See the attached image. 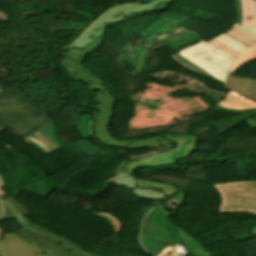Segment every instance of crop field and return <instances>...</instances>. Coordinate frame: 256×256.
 Masks as SVG:
<instances>
[{"label": "crop field", "instance_id": "cbeb9de0", "mask_svg": "<svg viewBox=\"0 0 256 256\" xmlns=\"http://www.w3.org/2000/svg\"><path fill=\"white\" fill-rule=\"evenodd\" d=\"M177 232L184 245L193 253L194 256H210L205 252L199 241L191 238L184 230L177 228Z\"/></svg>", "mask_w": 256, "mask_h": 256}, {"label": "crop field", "instance_id": "bd1437ed", "mask_svg": "<svg viewBox=\"0 0 256 256\" xmlns=\"http://www.w3.org/2000/svg\"><path fill=\"white\" fill-rule=\"evenodd\" d=\"M43 256H56L55 254H53L50 250L48 252H46Z\"/></svg>", "mask_w": 256, "mask_h": 256}, {"label": "crop field", "instance_id": "1d83c4d3", "mask_svg": "<svg viewBox=\"0 0 256 256\" xmlns=\"http://www.w3.org/2000/svg\"><path fill=\"white\" fill-rule=\"evenodd\" d=\"M100 29H101V28H97V29L94 30V32H98V31H100Z\"/></svg>", "mask_w": 256, "mask_h": 256}, {"label": "crop field", "instance_id": "e52e79f7", "mask_svg": "<svg viewBox=\"0 0 256 256\" xmlns=\"http://www.w3.org/2000/svg\"><path fill=\"white\" fill-rule=\"evenodd\" d=\"M139 5V3H121L115 6H112L103 12H101L82 32L81 34L70 44L68 47H77L79 49L85 47L95 38H97L105 30V23L116 22L125 17V14L134 6ZM124 11V14L117 19H111V16L115 13ZM97 27H102L99 33H94L93 29ZM90 33L96 35L93 39L89 40L88 36ZM66 48V47H65ZM67 51V50H66ZM65 51V52H66ZM64 52V51H63Z\"/></svg>", "mask_w": 256, "mask_h": 256}, {"label": "crop field", "instance_id": "d9b57169", "mask_svg": "<svg viewBox=\"0 0 256 256\" xmlns=\"http://www.w3.org/2000/svg\"><path fill=\"white\" fill-rule=\"evenodd\" d=\"M138 187L139 188H151V189H158L160 191H163L167 194V197H171L174 194L178 192L172 185H163V184H158L150 181H145V180H138Z\"/></svg>", "mask_w": 256, "mask_h": 256}, {"label": "crop field", "instance_id": "d32e631a", "mask_svg": "<svg viewBox=\"0 0 256 256\" xmlns=\"http://www.w3.org/2000/svg\"><path fill=\"white\" fill-rule=\"evenodd\" d=\"M0 234H1V228H0Z\"/></svg>", "mask_w": 256, "mask_h": 256}, {"label": "crop field", "instance_id": "d1516ede", "mask_svg": "<svg viewBox=\"0 0 256 256\" xmlns=\"http://www.w3.org/2000/svg\"><path fill=\"white\" fill-rule=\"evenodd\" d=\"M103 34L102 36H100L94 43H92L91 45H89L88 47L85 48L84 51H79L77 49H71L70 51L67 52V55L70 56L73 59H76V61H78L81 64V61L89 54L92 53L95 49H97L99 47V45L102 43L103 38H104ZM83 66V65H82ZM84 67V66H83ZM83 71L88 72L95 80L98 81V83H101L95 76H93L85 67L83 68ZM102 84V83H101Z\"/></svg>", "mask_w": 256, "mask_h": 256}, {"label": "crop field", "instance_id": "a9b5d70f", "mask_svg": "<svg viewBox=\"0 0 256 256\" xmlns=\"http://www.w3.org/2000/svg\"><path fill=\"white\" fill-rule=\"evenodd\" d=\"M138 197L140 198H146V199H158L163 198L164 195L159 192H145V191H138V190H132Z\"/></svg>", "mask_w": 256, "mask_h": 256}, {"label": "crop field", "instance_id": "22f410ed", "mask_svg": "<svg viewBox=\"0 0 256 256\" xmlns=\"http://www.w3.org/2000/svg\"><path fill=\"white\" fill-rule=\"evenodd\" d=\"M218 105L237 109L256 108V103L243 99L233 92H230L228 96Z\"/></svg>", "mask_w": 256, "mask_h": 256}, {"label": "crop field", "instance_id": "412701ff", "mask_svg": "<svg viewBox=\"0 0 256 256\" xmlns=\"http://www.w3.org/2000/svg\"><path fill=\"white\" fill-rule=\"evenodd\" d=\"M141 241L152 256H162L181 242L175 226L155 208L148 213L143 223Z\"/></svg>", "mask_w": 256, "mask_h": 256}, {"label": "crop field", "instance_id": "214f88e0", "mask_svg": "<svg viewBox=\"0 0 256 256\" xmlns=\"http://www.w3.org/2000/svg\"><path fill=\"white\" fill-rule=\"evenodd\" d=\"M214 40L238 51L242 52L244 49L248 48L245 45L241 44L240 42L236 41L235 39L231 38L230 36L226 34H222L221 36L215 38Z\"/></svg>", "mask_w": 256, "mask_h": 256}, {"label": "crop field", "instance_id": "750c4746", "mask_svg": "<svg viewBox=\"0 0 256 256\" xmlns=\"http://www.w3.org/2000/svg\"><path fill=\"white\" fill-rule=\"evenodd\" d=\"M103 92H97V94H98V98H99V96L102 94ZM96 105H97V103H96ZM96 105H95V108H96ZM94 114H95V119H94V121H96V118H97V112H96V109H95V111H94ZM93 121V122H94Z\"/></svg>", "mask_w": 256, "mask_h": 256}, {"label": "crop field", "instance_id": "4a817a6b", "mask_svg": "<svg viewBox=\"0 0 256 256\" xmlns=\"http://www.w3.org/2000/svg\"><path fill=\"white\" fill-rule=\"evenodd\" d=\"M170 142L165 141L162 137H154L148 140H142L139 142H135L127 147L129 148H149L156 146L169 145Z\"/></svg>", "mask_w": 256, "mask_h": 256}, {"label": "crop field", "instance_id": "ac0d7876", "mask_svg": "<svg viewBox=\"0 0 256 256\" xmlns=\"http://www.w3.org/2000/svg\"><path fill=\"white\" fill-rule=\"evenodd\" d=\"M49 120L24 97L18 87L0 91V123L15 133L23 137Z\"/></svg>", "mask_w": 256, "mask_h": 256}, {"label": "crop field", "instance_id": "bc2a9ffb", "mask_svg": "<svg viewBox=\"0 0 256 256\" xmlns=\"http://www.w3.org/2000/svg\"><path fill=\"white\" fill-rule=\"evenodd\" d=\"M256 58V46L246 49L234 62L232 65V74L242 63L248 62Z\"/></svg>", "mask_w": 256, "mask_h": 256}, {"label": "crop field", "instance_id": "eef30255", "mask_svg": "<svg viewBox=\"0 0 256 256\" xmlns=\"http://www.w3.org/2000/svg\"><path fill=\"white\" fill-rule=\"evenodd\" d=\"M143 138H147V137H143ZM137 139H141V138H137ZM137 139H130V140H124V141L114 140L110 145L125 146V145L129 144L130 142H134V140H137Z\"/></svg>", "mask_w": 256, "mask_h": 256}, {"label": "crop field", "instance_id": "00972430", "mask_svg": "<svg viewBox=\"0 0 256 256\" xmlns=\"http://www.w3.org/2000/svg\"><path fill=\"white\" fill-rule=\"evenodd\" d=\"M170 0H154L150 3H145V4H142V5H139L133 9H131L127 14H126V17L129 16V14L131 12H142L144 10H149L151 8H154V5L158 4V3H164V2H169Z\"/></svg>", "mask_w": 256, "mask_h": 256}, {"label": "crop field", "instance_id": "8a807250", "mask_svg": "<svg viewBox=\"0 0 256 256\" xmlns=\"http://www.w3.org/2000/svg\"><path fill=\"white\" fill-rule=\"evenodd\" d=\"M5 219L17 218L23 227V232L28 236H18L15 232L5 234L2 241V250L4 256H41L47 250H51L57 256H75L57 243L62 239L85 252L77 244L70 240L58 237L42 227H38L29 222L25 216L29 215L28 210L13 198L3 199ZM89 255L96 256L92 253L85 252Z\"/></svg>", "mask_w": 256, "mask_h": 256}, {"label": "crop field", "instance_id": "dafd665d", "mask_svg": "<svg viewBox=\"0 0 256 256\" xmlns=\"http://www.w3.org/2000/svg\"><path fill=\"white\" fill-rule=\"evenodd\" d=\"M235 2H236V5H237L238 20H237L236 24L233 26V28L240 29V30H245V31L251 32V33L256 35V27H247V26L241 25L242 14H241L240 0H235Z\"/></svg>", "mask_w": 256, "mask_h": 256}, {"label": "crop field", "instance_id": "dd49c442", "mask_svg": "<svg viewBox=\"0 0 256 256\" xmlns=\"http://www.w3.org/2000/svg\"><path fill=\"white\" fill-rule=\"evenodd\" d=\"M166 138L172 139L177 148L166 153H159L158 155L143 159L137 162L127 163L126 171L131 175L134 174L133 170L139 167H148V166H161L169 163H174L176 161H181L193 152L196 144L195 135H186V134H172L166 135Z\"/></svg>", "mask_w": 256, "mask_h": 256}, {"label": "crop field", "instance_id": "3316defc", "mask_svg": "<svg viewBox=\"0 0 256 256\" xmlns=\"http://www.w3.org/2000/svg\"><path fill=\"white\" fill-rule=\"evenodd\" d=\"M226 87L243 97L256 101V79L229 75Z\"/></svg>", "mask_w": 256, "mask_h": 256}, {"label": "crop field", "instance_id": "28ad6ade", "mask_svg": "<svg viewBox=\"0 0 256 256\" xmlns=\"http://www.w3.org/2000/svg\"><path fill=\"white\" fill-rule=\"evenodd\" d=\"M62 56H63L64 61L71 68V70L74 72V74L80 79V81H82L84 84L88 85L91 89L104 91V88L101 87L100 84L93 81L92 78H90L89 75H87L86 73H82V71H81L82 67L80 65H78L72 59H69V57L64 56V53H62Z\"/></svg>", "mask_w": 256, "mask_h": 256}, {"label": "crop field", "instance_id": "730fd06b", "mask_svg": "<svg viewBox=\"0 0 256 256\" xmlns=\"http://www.w3.org/2000/svg\"><path fill=\"white\" fill-rule=\"evenodd\" d=\"M208 42L213 44V45H215L216 47L220 48L221 50H223V51H225V52L235 56V57H237L239 55V53H237V52H235V51L225 47L224 45H222V44H220V43H218V42H216L214 40H211V41H208Z\"/></svg>", "mask_w": 256, "mask_h": 256}, {"label": "crop field", "instance_id": "f4fd0767", "mask_svg": "<svg viewBox=\"0 0 256 256\" xmlns=\"http://www.w3.org/2000/svg\"><path fill=\"white\" fill-rule=\"evenodd\" d=\"M222 197L220 212L256 213V181L215 185Z\"/></svg>", "mask_w": 256, "mask_h": 256}, {"label": "crop field", "instance_id": "34b2d1b8", "mask_svg": "<svg viewBox=\"0 0 256 256\" xmlns=\"http://www.w3.org/2000/svg\"><path fill=\"white\" fill-rule=\"evenodd\" d=\"M172 57L223 84L230 71V64L235 59L204 40L173 54Z\"/></svg>", "mask_w": 256, "mask_h": 256}, {"label": "crop field", "instance_id": "120bbe31", "mask_svg": "<svg viewBox=\"0 0 256 256\" xmlns=\"http://www.w3.org/2000/svg\"><path fill=\"white\" fill-rule=\"evenodd\" d=\"M4 185L0 182V187L2 188Z\"/></svg>", "mask_w": 256, "mask_h": 256}, {"label": "crop field", "instance_id": "5142ce71", "mask_svg": "<svg viewBox=\"0 0 256 256\" xmlns=\"http://www.w3.org/2000/svg\"><path fill=\"white\" fill-rule=\"evenodd\" d=\"M243 25L256 26V0H241Z\"/></svg>", "mask_w": 256, "mask_h": 256}, {"label": "crop field", "instance_id": "d3111659", "mask_svg": "<svg viewBox=\"0 0 256 256\" xmlns=\"http://www.w3.org/2000/svg\"><path fill=\"white\" fill-rule=\"evenodd\" d=\"M7 195L3 189H0V221L3 220L2 207H1V198Z\"/></svg>", "mask_w": 256, "mask_h": 256}, {"label": "crop field", "instance_id": "733c2abd", "mask_svg": "<svg viewBox=\"0 0 256 256\" xmlns=\"http://www.w3.org/2000/svg\"><path fill=\"white\" fill-rule=\"evenodd\" d=\"M226 34L230 35L248 47L256 45V36L251 33L232 29L226 32Z\"/></svg>", "mask_w": 256, "mask_h": 256}, {"label": "crop field", "instance_id": "92a150f3", "mask_svg": "<svg viewBox=\"0 0 256 256\" xmlns=\"http://www.w3.org/2000/svg\"><path fill=\"white\" fill-rule=\"evenodd\" d=\"M125 164H122L117 170V179L121 181L126 187L135 188L136 180L125 172ZM136 189V188H135Z\"/></svg>", "mask_w": 256, "mask_h": 256}, {"label": "crop field", "instance_id": "4177f3b9", "mask_svg": "<svg viewBox=\"0 0 256 256\" xmlns=\"http://www.w3.org/2000/svg\"><path fill=\"white\" fill-rule=\"evenodd\" d=\"M60 245H62L63 247H65L67 250H69L70 252L74 253L77 256H89L81 251H79L78 249L74 248L73 246H71L70 244L66 243L65 241H61L59 242Z\"/></svg>", "mask_w": 256, "mask_h": 256}, {"label": "crop field", "instance_id": "d8731c3e", "mask_svg": "<svg viewBox=\"0 0 256 256\" xmlns=\"http://www.w3.org/2000/svg\"><path fill=\"white\" fill-rule=\"evenodd\" d=\"M24 138L45 154L62 147L55 135V125L52 120Z\"/></svg>", "mask_w": 256, "mask_h": 256}, {"label": "crop field", "instance_id": "5a996713", "mask_svg": "<svg viewBox=\"0 0 256 256\" xmlns=\"http://www.w3.org/2000/svg\"><path fill=\"white\" fill-rule=\"evenodd\" d=\"M97 108L100 112V118L99 122L96 123L95 132L102 141L110 144L114 139L108 131L109 123L114 111V100L110 95L105 93Z\"/></svg>", "mask_w": 256, "mask_h": 256}, {"label": "crop field", "instance_id": "ae1a2a85", "mask_svg": "<svg viewBox=\"0 0 256 256\" xmlns=\"http://www.w3.org/2000/svg\"><path fill=\"white\" fill-rule=\"evenodd\" d=\"M169 5H171V4L158 5V6H159L158 9H154V10H152V11H147V12H145V13L161 11V10H164L165 8H167ZM141 14H144V13L133 14V16H132L131 18H133V17H135V16H137V15H141ZM131 18H130V19H131ZM125 20H127V19H125ZM123 21H124V20H123Z\"/></svg>", "mask_w": 256, "mask_h": 256}]
</instances>
